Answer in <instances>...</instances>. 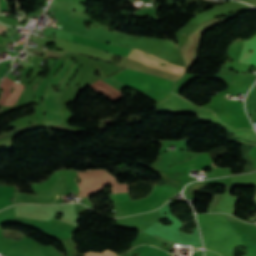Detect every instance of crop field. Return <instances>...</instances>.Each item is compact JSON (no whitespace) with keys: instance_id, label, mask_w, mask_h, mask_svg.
<instances>
[{"instance_id":"412701ff","label":"crop field","mask_w":256,"mask_h":256,"mask_svg":"<svg viewBox=\"0 0 256 256\" xmlns=\"http://www.w3.org/2000/svg\"><path fill=\"white\" fill-rule=\"evenodd\" d=\"M70 15H74V16H77V17H80V18H86V14H83V13H79V12H74V11H71Z\"/></svg>"},{"instance_id":"34b2d1b8","label":"crop field","mask_w":256,"mask_h":256,"mask_svg":"<svg viewBox=\"0 0 256 256\" xmlns=\"http://www.w3.org/2000/svg\"><path fill=\"white\" fill-rule=\"evenodd\" d=\"M250 48L253 49V54L249 53L248 50ZM239 61L249 63L252 65L254 64V62L256 61V36L253 37L250 41L244 42ZM254 65H256V62Z\"/></svg>"},{"instance_id":"f4fd0767","label":"crop field","mask_w":256,"mask_h":256,"mask_svg":"<svg viewBox=\"0 0 256 256\" xmlns=\"http://www.w3.org/2000/svg\"><path fill=\"white\" fill-rule=\"evenodd\" d=\"M212 166H214L213 162H211Z\"/></svg>"},{"instance_id":"ac0d7876","label":"crop field","mask_w":256,"mask_h":256,"mask_svg":"<svg viewBox=\"0 0 256 256\" xmlns=\"http://www.w3.org/2000/svg\"><path fill=\"white\" fill-rule=\"evenodd\" d=\"M78 175L82 179V182L78 183L82 196L87 197L88 195L95 194L100 191L103 186L110 183L113 184V193L128 192V184L117 183L116 178L112 177L104 170L86 171L84 173H78Z\"/></svg>"},{"instance_id":"8a807250","label":"crop field","mask_w":256,"mask_h":256,"mask_svg":"<svg viewBox=\"0 0 256 256\" xmlns=\"http://www.w3.org/2000/svg\"><path fill=\"white\" fill-rule=\"evenodd\" d=\"M167 218L174 224L171 226H163L158 221L152 226L145 229L143 232L154 235L172 244L181 243L194 245L195 247H202L197 228L193 230V234H186L179 231L181 222L175 216L171 215Z\"/></svg>"},{"instance_id":"dd49c442","label":"crop field","mask_w":256,"mask_h":256,"mask_svg":"<svg viewBox=\"0 0 256 256\" xmlns=\"http://www.w3.org/2000/svg\"><path fill=\"white\" fill-rule=\"evenodd\" d=\"M4 43H5V42H4ZM4 43H3V44H4Z\"/></svg>"}]
</instances>
